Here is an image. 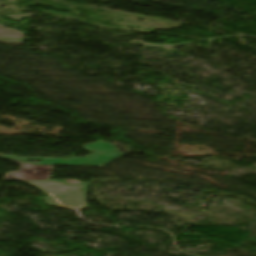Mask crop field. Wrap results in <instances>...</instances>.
Masks as SVG:
<instances>
[{
	"instance_id": "3",
	"label": "crop field",
	"mask_w": 256,
	"mask_h": 256,
	"mask_svg": "<svg viewBox=\"0 0 256 256\" xmlns=\"http://www.w3.org/2000/svg\"><path fill=\"white\" fill-rule=\"evenodd\" d=\"M4 159V158H2ZM10 160V159H6ZM21 165L20 171L6 175L5 181L49 180L54 166H32L24 162L14 161Z\"/></svg>"
},
{
	"instance_id": "1",
	"label": "crop field",
	"mask_w": 256,
	"mask_h": 256,
	"mask_svg": "<svg viewBox=\"0 0 256 256\" xmlns=\"http://www.w3.org/2000/svg\"><path fill=\"white\" fill-rule=\"evenodd\" d=\"M39 190L48 194L45 203L54 206L80 208L86 207L85 196L90 183L66 184L65 180L58 181H26Z\"/></svg>"
},
{
	"instance_id": "2",
	"label": "crop field",
	"mask_w": 256,
	"mask_h": 256,
	"mask_svg": "<svg viewBox=\"0 0 256 256\" xmlns=\"http://www.w3.org/2000/svg\"><path fill=\"white\" fill-rule=\"evenodd\" d=\"M86 151H96L90 157H70V158H23L19 156H6L0 155V157H12L21 160H40L35 164H60V165H86V166H102L113 161L117 157L123 155L116 147L104 142H98L95 144H87L83 147ZM29 162V161H28ZM34 163V162H30Z\"/></svg>"
}]
</instances>
